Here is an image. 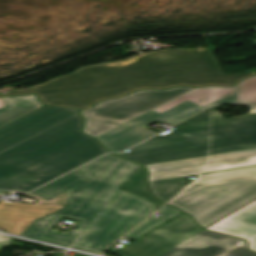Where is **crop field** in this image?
Segmentation results:
<instances>
[{
    "instance_id": "crop-field-1",
    "label": "crop field",
    "mask_w": 256,
    "mask_h": 256,
    "mask_svg": "<svg viewBox=\"0 0 256 256\" xmlns=\"http://www.w3.org/2000/svg\"><path fill=\"white\" fill-rule=\"evenodd\" d=\"M220 104L251 106L247 115L225 119L211 108L177 126L165 136H155L126 154H116L141 165L256 148V76L236 87L195 88L96 139L110 151H121L155 132L143 125L155 121L174 125Z\"/></svg>"
},
{
    "instance_id": "crop-field-2",
    "label": "crop field",
    "mask_w": 256,
    "mask_h": 256,
    "mask_svg": "<svg viewBox=\"0 0 256 256\" xmlns=\"http://www.w3.org/2000/svg\"><path fill=\"white\" fill-rule=\"evenodd\" d=\"M252 74L224 75L209 49H167L125 62L85 67L71 75L9 94L37 92L45 104L85 108L95 101L119 97L135 89L232 85Z\"/></svg>"
},
{
    "instance_id": "crop-field-3",
    "label": "crop field",
    "mask_w": 256,
    "mask_h": 256,
    "mask_svg": "<svg viewBox=\"0 0 256 256\" xmlns=\"http://www.w3.org/2000/svg\"><path fill=\"white\" fill-rule=\"evenodd\" d=\"M139 165L107 154L80 168L87 181L65 192L66 206L33 221L21 236L69 247L79 232L67 236L49 232L63 217L81 221L74 229L83 232L73 248L98 253L128 232L156 207L120 188Z\"/></svg>"
},
{
    "instance_id": "crop-field-4",
    "label": "crop field",
    "mask_w": 256,
    "mask_h": 256,
    "mask_svg": "<svg viewBox=\"0 0 256 256\" xmlns=\"http://www.w3.org/2000/svg\"><path fill=\"white\" fill-rule=\"evenodd\" d=\"M77 111L43 106L0 127V189H35L107 152Z\"/></svg>"
},
{
    "instance_id": "crop-field-5",
    "label": "crop field",
    "mask_w": 256,
    "mask_h": 256,
    "mask_svg": "<svg viewBox=\"0 0 256 256\" xmlns=\"http://www.w3.org/2000/svg\"><path fill=\"white\" fill-rule=\"evenodd\" d=\"M190 174L197 179L167 204L191 214L203 228L256 199V149L208 155L151 194L164 203Z\"/></svg>"
},
{
    "instance_id": "crop-field-6",
    "label": "crop field",
    "mask_w": 256,
    "mask_h": 256,
    "mask_svg": "<svg viewBox=\"0 0 256 256\" xmlns=\"http://www.w3.org/2000/svg\"><path fill=\"white\" fill-rule=\"evenodd\" d=\"M190 89L139 90L121 98L98 102L94 108L80 112L86 119L83 132L96 137Z\"/></svg>"
},
{
    "instance_id": "crop-field-7",
    "label": "crop field",
    "mask_w": 256,
    "mask_h": 256,
    "mask_svg": "<svg viewBox=\"0 0 256 256\" xmlns=\"http://www.w3.org/2000/svg\"><path fill=\"white\" fill-rule=\"evenodd\" d=\"M201 230L188 215L183 213L117 254L159 256Z\"/></svg>"
},
{
    "instance_id": "crop-field-8",
    "label": "crop field",
    "mask_w": 256,
    "mask_h": 256,
    "mask_svg": "<svg viewBox=\"0 0 256 256\" xmlns=\"http://www.w3.org/2000/svg\"><path fill=\"white\" fill-rule=\"evenodd\" d=\"M242 241L202 230L161 256H216Z\"/></svg>"
},
{
    "instance_id": "crop-field-9",
    "label": "crop field",
    "mask_w": 256,
    "mask_h": 256,
    "mask_svg": "<svg viewBox=\"0 0 256 256\" xmlns=\"http://www.w3.org/2000/svg\"><path fill=\"white\" fill-rule=\"evenodd\" d=\"M207 230L246 239L249 249L256 251V201Z\"/></svg>"
},
{
    "instance_id": "crop-field-10",
    "label": "crop field",
    "mask_w": 256,
    "mask_h": 256,
    "mask_svg": "<svg viewBox=\"0 0 256 256\" xmlns=\"http://www.w3.org/2000/svg\"><path fill=\"white\" fill-rule=\"evenodd\" d=\"M0 192L8 195H10V193L25 194L29 197L39 200L35 204L12 203V202L2 200L0 201L1 214H14V215H24L28 217H41V216L50 214L58 210L59 208L65 206L64 193L47 202L30 193L26 194L22 192H7V191H0Z\"/></svg>"
},
{
    "instance_id": "crop-field-11",
    "label": "crop field",
    "mask_w": 256,
    "mask_h": 256,
    "mask_svg": "<svg viewBox=\"0 0 256 256\" xmlns=\"http://www.w3.org/2000/svg\"><path fill=\"white\" fill-rule=\"evenodd\" d=\"M202 158L203 157H198L160 164L146 165L145 167L150 171L148 183L151 191H154Z\"/></svg>"
},
{
    "instance_id": "crop-field-12",
    "label": "crop field",
    "mask_w": 256,
    "mask_h": 256,
    "mask_svg": "<svg viewBox=\"0 0 256 256\" xmlns=\"http://www.w3.org/2000/svg\"><path fill=\"white\" fill-rule=\"evenodd\" d=\"M2 99L6 107L0 109V126L43 106L36 94L2 97Z\"/></svg>"
},
{
    "instance_id": "crop-field-13",
    "label": "crop field",
    "mask_w": 256,
    "mask_h": 256,
    "mask_svg": "<svg viewBox=\"0 0 256 256\" xmlns=\"http://www.w3.org/2000/svg\"><path fill=\"white\" fill-rule=\"evenodd\" d=\"M86 180L85 176L77 169L63 177H60L42 187L39 189L31 192L39 197L45 199V200H50L65 190L83 182Z\"/></svg>"
},
{
    "instance_id": "crop-field-14",
    "label": "crop field",
    "mask_w": 256,
    "mask_h": 256,
    "mask_svg": "<svg viewBox=\"0 0 256 256\" xmlns=\"http://www.w3.org/2000/svg\"><path fill=\"white\" fill-rule=\"evenodd\" d=\"M146 173L143 168L139 169L137 173L132 177L128 184L123 188V190L132 193L138 197L145 200L151 201L157 207V209L162 205L154 197H152L146 188L144 178Z\"/></svg>"
},
{
    "instance_id": "crop-field-15",
    "label": "crop field",
    "mask_w": 256,
    "mask_h": 256,
    "mask_svg": "<svg viewBox=\"0 0 256 256\" xmlns=\"http://www.w3.org/2000/svg\"><path fill=\"white\" fill-rule=\"evenodd\" d=\"M159 211L163 213L161 216H159L156 219L154 218L147 219L145 222H143L141 225H139L137 228H135L132 232H130L126 236L135 239L140 235L144 234L145 232L149 231L150 229L154 228L155 226L171 218L172 216L176 215L177 213L181 212L176 208L168 205H164Z\"/></svg>"
},
{
    "instance_id": "crop-field-16",
    "label": "crop field",
    "mask_w": 256,
    "mask_h": 256,
    "mask_svg": "<svg viewBox=\"0 0 256 256\" xmlns=\"http://www.w3.org/2000/svg\"><path fill=\"white\" fill-rule=\"evenodd\" d=\"M34 218L0 215V227L6 232L20 235Z\"/></svg>"
},
{
    "instance_id": "crop-field-17",
    "label": "crop field",
    "mask_w": 256,
    "mask_h": 256,
    "mask_svg": "<svg viewBox=\"0 0 256 256\" xmlns=\"http://www.w3.org/2000/svg\"><path fill=\"white\" fill-rule=\"evenodd\" d=\"M221 256H256L255 253L246 250L245 243Z\"/></svg>"
},
{
    "instance_id": "crop-field-18",
    "label": "crop field",
    "mask_w": 256,
    "mask_h": 256,
    "mask_svg": "<svg viewBox=\"0 0 256 256\" xmlns=\"http://www.w3.org/2000/svg\"><path fill=\"white\" fill-rule=\"evenodd\" d=\"M3 107H5V105H4V103H3V101H2V99L0 97V108H3Z\"/></svg>"
},
{
    "instance_id": "crop-field-19",
    "label": "crop field",
    "mask_w": 256,
    "mask_h": 256,
    "mask_svg": "<svg viewBox=\"0 0 256 256\" xmlns=\"http://www.w3.org/2000/svg\"><path fill=\"white\" fill-rule=\"evenodd\" d=\"M73 256H86V255H82V254H77V253H74Z\"/></svg>"
}]
</instances>
